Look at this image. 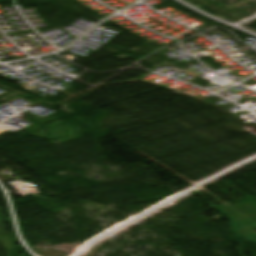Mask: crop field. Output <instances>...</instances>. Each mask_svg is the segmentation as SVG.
Wrapping results in <instances>:
<instances>
[{"instance_id":"8a807250","label":"crop field","mask_w":256,"mask_h":256,"mask_svg":"<svg viewBox=\"0 0 256 256\" xmlns=\"http://www.w3.org/2000/svg\"><path fill=\"white\" fill-rule=\"evenodd\" d=\"M219 210L229 217L236 218L235 225L240 236L256 242V200L252 199Z\"/></svg>"}]
</instances>
